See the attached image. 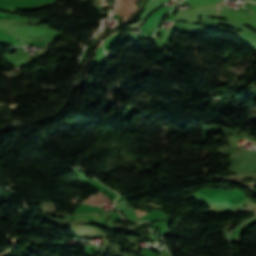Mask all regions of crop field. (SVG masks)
<instances>
[{
  "label": "crop field",
  "instance_id": "1",
  "mask_svg": "<svg viewBox=\"0 0 256 256\" xmlns=\"http://www.w3.org/2000/svg\"><path fill=\"white\" fill-rule=\"evenodd\" d=\"M127 207H128V204H119L117 209L123 210L128 220H130V219L131 220H136L137 216H136V214L134 212V209H132L130 207V209L127 210ZM136 212H137L139 217L142 216L143 214H145V213H143V212H141L139 210H136Z\"/></svg>",
  "mask_w": 256,
  "mask_h": 256
},
{
  "label": "crop field",
  "instance_id": "4",
  "mask_svg": "<svg viewBox=\"0 0 256 256\" xmlns=\"http://www.w3.org/2000/svg\"><path fill=\"white\" fill-rule=\"evenodd\" d=\"M47 44H48V43H47ZM47 44H45V45H47ZM45 45H44V46H45Z\"/></svg>",
  "mask_w": 256,
  "mask_h": 256
},
{
  "label": "crop field",
  "instance_id": "2",
  "mask_svg": "<svg viewBox=\"0 0 256 256\" xmlns=\"http://www.w3.org/2000/svg\"><path fill=\"white\" fill-rule=\"evenodd\" d=\"M247 208L245 209L242 208V209H239V210H221V209H217V208H209L207 210H209L210 212H219V213H222V212H227V211H230L232 213H238V212H246L248 211L247 209L250 208L249 211H252L253 209L256 208V203H254L253 201H249L247 204H246Z\"/></svg>",
  "mask_w": 256,
  "mask_h": 256
},
{
  "label": "crop field",
  "instance_id": "3",
  "mask_svg": "<svg viewBox=\"0 0 256 256\" xmlns=\"http://www.w3.org/2000/svg\"><path fill=\"white\" fill-rule=\"evenodd\" d=\"M83 202L89 203L91 205H98V204H103L102 202H100L99 200H97L96 198L90 196L88 197L86 200H84Z\"/></svg>",
  "mask_w": 256,
  "mask_h": 256
}]
</instances>
